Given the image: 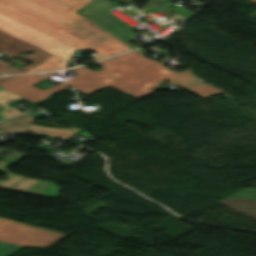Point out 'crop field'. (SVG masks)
<instances>
[{
  "label": "crop field",
  "instance_id": "5a996713",
  "mask_svg": "<svg viewBox=\"0 0 256 256\" xmlns=\"http://www.w3.org/2000/svg\"><path fill=\"white\" fill-rule=\"evenodd\" d=\"M88 18L105 29L112 36L120 40L122 43L127 45L129 48H136L129 43L132 41L133 37V30L131 26L110 12L106 11Z\"/></svg>",
  "mask_w": 256,
  "mask_h": 256
},
{
  "label": "crop field",
  "instance_id": "28ad6ade",
  "mask_svg": "<svg viewBox=\"0 0 256 256\" xmlns=\"http://www.w3.org/2000/svg\"><path fill=\"white\" fill-rule=\"evenodd\" d=\"M202 98L208 97L210 95L223 94V92L215 87H212L204 82L195 84L193 86L184 88Z\"/></svg>",
  "mask_w": 256,
  "mask_h": 256
},
{
  "label": "crop field",
  "instance_id": "4a817a6b",
  "mask_svg": "<svg viewBox=\"0 0 256 256\" xmlns=\"http://www.w3.org/2000/svg\"><path fill=\"white\" fill-rule=\"evenodd\" d=\"M168 1H174V0H168Z\"/></svg>",
  "mask_w": 256,
  "mask_h": 256
},
{
  "label": "crop field",
  "instance_id": "5142ce71",
  "mask_svg": "<svg viewBox=\"0 0 256 256\" xmlns=\"http://www.w3.org/2000/svg\"><path fill=\"white\" fill-rule=\"evenodd\" d=\"M122 11L126 14H129V15H132V16H135V15H138L139 13H136V12H133V11H129V10H126V9H122Z\"/></svg>",
  "mask_w": 256,
  "mask_h": 256
},
{
  "label": "crop field",
  "instance_id": "ac0d7876",
  "mask_svg": "<svg viewBox=\"0 0 256 256\" xmlns=\"http://www.w3.org/2000/svg\"><path fill=\"white\" fill-rule=\"evenodd\" d=\"M103 70L94 72L85 66L70 69L78 74L67 85L89 94L106 86L141 98L161 90L154 86L164 80L180 87L200 81L189 71L178 73L144 56L139 49L97 62Z\"/></svg>",
  "mask_w": 256,
  "mask_h": 256
},
{
  "label": "crop field",
  "instance_id": "d9b57169",
  "mask_svg": "<svg viewBox=\"0 0 256 256\" xmlns=\"http://www.w3.org/2000/svg\"><path fill=\"white\" fill-rule=\"evenodd\" d=\"M11 77H13V76H4V77H0V83L3 82V81H5V80H7V79H9V78H11Z\"/></svg>",
  "mask_w": 256,
  "mask_h": 256
},
{
  "label": "crop field",
  "instance_id": "3316defc",
  "mask_svg": "<svg viewBox=\"0 0 256 256\" xmlns=\"http://www.w3.org/2000/svg\"><path fill=\"white\" fill-rule=\"evenodd\" d=\"M17 98H20V97L5 89L0 91V107H1V115L3 119H6L8 117L21 113L20 111L6 104V102L17 99Z\"/></svg>",
  "mask_w": 256,
  "mask_h": 256
},
{
  "label": "crop field",
  "instance_id": "d8731c3e",
  "mask_svg": "<svg viewBox=\"0 0 256 256\" xmlns=\"http://www.w3.org/2000/svg\"><path fill=\"white\" fill-rule=\"evenodd\" d=\"M36 118L37 117L32 116L30 118L24 119L17 123L1 128L0 131L12 133H34L51 137H60L62 139L68 140L70 137H72L76 132L80 130L79 128L76 127L51 128L30 124Z\"/></svg>",
  "mask_w": 256,
  "mask_h": 256
},
{
  "label": "crop field",
  "instance_id": "f4fd0767",
  "mask_svg": "<svg viewBox=\"0 0 256 256\" xmlns=\"http://www.w3.org/2000/svg\"><path fill=\"white\" fill-rule=\"evenodd\" d=\"M24 156L26 154L10 149H0V159L3 160L0 163V171L8 174L7 177H9L6 181L0 180V188L32 193L49 198H52L64 189V187L59 188L55 183L33 180L9 173V170L6 168L10 164H16Z\"/></svg>",
  "mask_w": 256,
  "mask_h": 256
},
{
  "label": "crop field",
  "instance_id": "d1516ede",
  "mask_svg": "<svg viewBox=\"0 0 256 256\" xmlns=\"http://www.w3.org/2000/svg\"><path fill=\"white\" fill-rule=\"evenodd\" d=\"M140 11L144 12V13H149V12H153V11H157L162 13L163 15H165L169 20L176 22V23H182L186 20V18L180 17L170 11H167L165 9H163L162 7L148 2L146 3L141 9Z\"/></svg>",
  "mask_w": 256,
  "mask_h": 256
},
{
  "label": "crop field",
  "instance_id": "e52e79f7",
  "mask_svg": "<svg viewBox=\"0 0 256 256\" xmlns=\"http://www.w3.org/2000/svg\"><path fill=\"white\" fill-rule=\"evenodd\" d=\"M44 79L45 78L40 74L18 75L1 83L0 86L34 104L53 97L51 95L52 93L68 88V86L64 85L63 83L52 86L45 90L33 86Z\"/></svg>",
  "mask_w": 256,
  "mask_h": 256
},
{
  "label": "crop field",
  "instance_id": "dd49c442",
  "mask_svg": "<svg viewBox=\"0 0 256 256\" xmlns=\"http://www.w3.org/2000/svg\"><path fill=\"white\" fill-rule=\"evenodd\" d=\"M32 51L33 53L26 57L22 55L21 53ZM0 53L6 54L8 56L14 57L18 56L20 58L26 59L28 61H31L33 63L24 66L20 69L13 68L10 66L7 74L11 73H18L23 72L45 60V58L49 55V53H46L18 38H15L3 31H0ZM8 63L3 62L0 60V75L4 74L8 67Z\"/></svg>",
  "mask_w": 256,
  "mask_h": 256
},
{
  "label": "crop field",
  "instance_id": "22f410ed",
  "mask_svg": "<svg viewBox=\"0 0 256 256\" xmlns=\"http://www.w3.org/2000/svg\"><path fill=\"white\" fill-rule=\"evenodd\" d=\"M20 248L21 246L0 242V256H9Z\"/></svg>",
  "mask_w": 256,
  "mask_h": 256
},
{
  "label": "crop field",
  "instance_id": "cbeb9de0",
  "mask_svg": "<svg viewBox=\"0 0 256 256\" xmlns=\"http://www.w3.org/2000/svg\"><path fill=\"white\" fill-rule=\"evenodd\" d=\"M30 116H32V115H30V114H28V113H25V114H22V115H20V116L14 117V118L9 119V120H6V121H4V122H1V123H0V128H1V127H4V126H6V125H9V124H11V123L17 122V121H19V120H22V119H24V118L30 117Z\"/></svg>",
  "mask_w": 256,
  "mask_h": 256
},
{
  "label": "crop field",
  "instance_id": "34b2d1b8",
  "mask_svg": "<svg viewBox=\"0 0 256 256\" xmlns=\"http://www.w3.org/2000/svg\"><path fill=\"white\" fill-rule=\"evenodd\" d=\"M28 15L58 27L85 17L75 14L91 0H0Z\"/></svg>",
  "mask_w": 256,
  "mask_h": 256
},
{
  "label": "crop field",
  "instance_id": "733c2abd",
  "mask_svg": "<svg viewBox=\"0 0 256 256\" xmlns=\"http://www.w3.org/2000/svg\"><path fill=\"white\" fill-rule=\"evenodd\" d=\"M55 73H57V72L43 73V75H45L46 77H49V76H51V75H53Z\"/></svg>",
  "mask_w": 256,
  "mask_h": 256
},
{
  "label": "crop field",
  "instance_id": "412701ff",
  "mask_svg": "<svg viewBox=\"0 0 256 256\" xmlns=\"http://www.w3.org/2000/svg\"><path fill=\"white\" fill-rule=\"evenodd\" d=\"M67 234L0 217V241L44 249Z\"/></svg>",
  "mask_w": 256,
  "mask_h": 256
},
{
  "label": "crop field",
  "instance_id": "8a807250",
  "mask_svg": "<svg viewBox=\"0 0 256 256\" xmlns=\"http://www.w3.org/2000/svg\"><path fill=\"white\" fill-rule=\"evenodd\" d=\"M0 30L51 53L25 72L65 68L75 49L93 50V60L130 50L87 18L54 28L1 2Z\"/></svg>",
  "mask_w": 256,
  "mask_h": 256
}]
</instances>
